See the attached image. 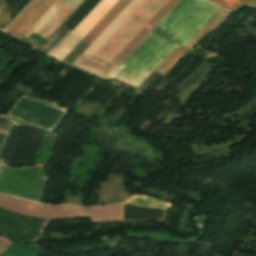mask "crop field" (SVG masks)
Segmentation results:
<instances>
[{"instance_id":"8a807250","label":"crop field","mask_w":256,"mask_h":256,"mask_svg":"<svg viewBox=\"0 0 256 256\" xmlns=\"http://www.w3.org/2000/svg\"><path fill=\"white\" fill-rule=\"evenodd\" d=\"M143 1L144 0H132L130 4L115 18V20L85 50V52L94 55ZM166 1L167 0H145L129 17V19L115 32V34L101 47L95 56L110 62ZM178 1L179 0H168L131 39V41L117 54L111 63L119 65L161 21V19L178 3Z\"/></svg>"},{"instance_id":"ac0d7876","label":"crop field","mask_w":256,"mask_h":256,"mask_svg":"<svg viewBox=\"0 0 256 256\" xmlns=\"http://www.w3.org/2000/svg\"><path fill=\"white\" fill-rule=\"evenodd\" d=\"M55 1L32 0L5 31L21 39ZM63 1L57 0L24 37L27 38L33 32L48 40L84 0ZM60 4L73 11L59 6Z\"/></svg>"},{"instance_id":"34b2d1b8","label":"crop field","mask_w":256,"mask_h":256,"mask_svg":"<svg viewBox=\"0 0 256 256\" xmlns=\"http://www.w3.org/2000/svg\"><path fill=\"white\" fill-rule=\"evenodd\" d=\"M0 207L39 218H74L88 216L84 207L48 206L0 195Z\"/></svg>"},{"instance_id":"412701ff","label":"crop field","mask_w":256,"mask_h":256,"mask_svg":"<svg viewBox=\"0 0 256 256\" xmlns=\"http://www.w3.org/2000/svg\"><path fill=\"white\" fill-rule=\"evenodd\" d=\"M117 1L101 0L51 55L63 60Z\"/></svg>"},{"instance_id":"f4fd0767","label":"crop field","mask_w":256,"mask_h":256,"mask_svg":"<svg viewBox=\"0 0 256 256\" xmlns=\"http://www.w3.org/2000/svg\"><path fill=\"white\" fill-rule=\"evenodd\" d=\"M228 13L229 11L221 8L186 46L175 48L156 70L166 74L205 31L213 30Z\"/></svg>"},{"instance_id":"dd49c442","label":"crop field","mask_w":256,"mask_h":256,"mask_svg":"<svg viewBox=\"0 0 256 256\" xmlns=\"http://www.w3.org/2000/svg\"><path fill=\"white\" fill-rule=\"evenodd\" d=\"M130 1L131 0H119L101 19V21L88 33L83 41L90 44Z\"/></svg>"},{"instance_id":"e52e79f7","label":"crop field","mask_w":256,"mask_h":256,"mask_svg":"<svg viewBox=\"0 0 256 256\" xmlns=\"http://www.w3.org/2000/svg\"><path fill=\"white\" fill-rule=\"evenodd\" d=\"M90 220L121 219L122 203L106 207H87Z\"/></svg>"},{"instance_id":"d8731c3e","label":"crop field","mask_w":256,"mask_h":256,"mask_svg":"<svg viewBox=\"0 0 256 256\" xmlns=\"http://www.w3.org/2000/svg\"><path fill=\"white\" fill-rule=\"evenodd\" d=\"M12 244L5 237H0V253ZM42 249L38 247H22L17 244H12L4 252L10 256H38Z\"/></svg>"},{"instance_id":"5a996713","label":"crop field","mask_w":256,"mask_h":256,"mask_svg":"<svg viewBox=\"0 0 256 256\" xmlns=\"http://www.w3.org/2000/svg\"><path fill=\"white\" fill-rule=\"evenodd\" d=\"M125 202L138 205V206H143V207L163 208V209H169L170 207V204L165 203L163 201H159L154 198H150L146 196H138V195L132 196Z\"/></svg>"},{"instance_id":"3316defc","label":"crop field","mask_w":256,"mask_h":256,"mask_svg":"<svg viewBox=\"0 0 256 256\" xmlns=\"http://www.w3.org/2000/svg\"><path fill=\"white\" fill-rule=\"evenodd\" d=\"M232 11H236L245 4L256 5V0H209ZM247 5V6H251ZM256 7V6H254Z\"/></svg>"}]
</instances>
